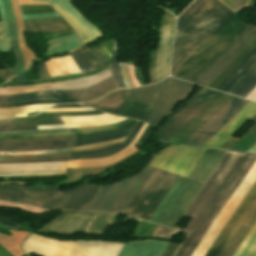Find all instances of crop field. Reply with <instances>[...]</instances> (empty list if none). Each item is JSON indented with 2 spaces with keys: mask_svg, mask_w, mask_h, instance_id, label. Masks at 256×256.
Wrapping results in <instances>:
<instances>
[{
  "mask_svg": "<svg viewBox=\"0 0 256 256\" xmlns=\"http://www.w3.org/2000/svg\"><path fill=\"white\" fill-rule=\"evenodd\" d=\"M14 15H15V20L17 24V33H18V43L21 49V53L25 62V69H27V66L35 59L36 54L33 53L26 45L25 39H24V34H23V26H22V19L17 7V2L16 0H10ZM38 60V58H37ZM36 60V61H37ZM34 63V62H33Z\"/></svg>",
  "mask_w": 256,
  "mask_h": 256,
  "instance_id": "29",
  "label": "crop field"
},
{
  "mask_svg": "<svg viewBox=\"0 0 256 256\" xmlns=\"http://www.w3.org/2000/svg\"><path fill=\"white\" fill-rule=\"evenodd\" d=\"M52 7L63 17L78 34L82 43L102 37L101 32L94 27L70 2V0H47Z\"/></svg>",
  "mask_w": 256,
  "mask_h": 256,
  "instance_id": "13",
  "label": "crop field"
},
{
  "mask_svg": "<svg viewBox=\"0 0 256 256\" xmlns=\"http://www.w3.org/2000/svg\"><path fill=\"white\" fill-rule=\"evenodd\" d=\"M175 232H179L170 228L158 226L152 237H163V238H170L171 235Z\"/></svg>",
  "mask_w": 256,
  "mask_h": 256,
  "instance_id": "50",
  "label": "crop field"
},
{
  "mask_svg": "<svg viewBox=\"0 0 256 256\" xmlns=\"http://www.w3.org/2000/svg\"><path fill=\"white\" fill-rule=\"evenodd\" d=\"M206 148H181L170 145L154 154L153 166L187 178Z\"/></svg>",
  "mask_w": 256,
  "mask_h": 256,
  "instance_id": "7",
  "label": "crop field"
},
{
  "mask_svg": "<svg viewBox=\"0 0 256 256\" xmlns=\"http://www.w3.org/2000/svg\"><path fill=\"white\" fill-rule=\"evenodd\" d=\"M136 121L137 120H134L126 125L119 126V127L101 129V130H95V131H88V132H82V133H53V134H37V135H21V136H2V137H0V140L20 139V138H38V137H47V136H68V135H78V134H88V133H96V132H103V131H111V130H117L119 128L129 126V125L135 123Z\"/></svg>",
  "mask_w": 256,
  "mask_h": 256,
  "instance_id": "42",
  "label": "crop field"
},
{
  "mask_svg": "<svg viewBox=\"0 0 256 256\" xmlns=\"http://www.w3.org/2000/svg\"><path fill=\"white\" fill-rule=\"evenodd\" d=\"M95 213L63 211L38 231L54 234L72 235L84 232Z\"/></svg>",
  "mask_w": 256,
  "mask_h": 256,
  "instance_id": "15",
  "label": "crop field"
},
{
  "mask_svg": "<svg viewBox=\"0 0 256 256\" xmlns=\"http://www.w3.org/2000/svg\"><path fill=\"white\" fill-rule=\"evenodd\" d=\"M82 50L85 52L87 57L91 60V62L96 66L97 69L103 67L101 63L96 59V57L91 53V51L85 46H81Z\"/></svg>",
  "mask_w": 256,
  "mask_h": 256,
  "instance_id": "52",
  "label": "crop field"
},
{
  "mask_svg": "<svg viewBox=\"0 0 256 256\" xmlns=\"http://www.w3.org/2000/svg\"><path fill=\"white\" fill-rule=\"evenodd\" d=\"M111 90L108 88L105 91L94 95L90 98H81V99H72V100H60V101H29V102H25V103H20V104H7V105H0V108L3 107H16V106H25V105H31V104H36V103H66V102H87V101H91V100H95L105 94H107L108 92H110Z\"/></svg>",
  "mask_w": 256,
  "mask_h": 256,
  "instance_id": "45",
  "label": "crop field"
},
{
  "mask_svg": "<svg viewBox=\"0 0 256 256\" xmlns=\"http://www.w3.org/2000/svg\"><path fill=\"white\" fill-rule=\"evenodd\" d=\"M118 215L119 214L96 213L84 233H94L102 235L106 226L115 223Z\"/></svg>",
  "mask_w": 256,
  "mask_h": 256,
  "instance_id": "35",
  "label": "crop field"
},
{
  "mask_svg": "<svg viewBox=\"0 0 256 256\" xmlns=\"http://www.w3.org/2000/svg\"><path fill=\"white\" fill-rule=\"evenodd\" d=\"M111 77L110 70L95 75L93 77L84 78L80 80H72V81H63L58 83H50V84H42V85H34V86H24V87H9V88H0L1 91H13V90H23L30 89L36 87H44V86H61L58 88H37L31 90L17 91V92H1L0 95H14L26 92L33 91H43V90H70V89H85L91 87L107 78Z\"/></svg>",
  "mask_w": 256,
  "mask_h": 256,
  "instance_id": "19",
  "label": "crop field"
},
{
  "mask_svg": "<svg viewBox=\"0 0 256 256\" xmlns=\"http://www.w3.org/2000/svg\"><path fill=\"white\" fill-rule=\"evenodd\" d=\"M109 69V66L99 69L93 72L85 73V74H78V75H69V76H63V77H55V78H48L44 80H37V81H31V82H20L15 84H4L2 87H9V86H24V85H33V84H41V83H50V82H58L63 80H71V79H80L88 76H92L94 74L103 72L105 70Z\"/></svg>",
  "mask_w": 256,
  "mask_h": 256,
  "instance_id": "39",
  "label": "crop field"
},
{
  "mask_svg": "<svg viewBox=\"0 0 256 256\" xmlns=\"http://www.w3.org/2000/svg\"><path fill=\"white\" fill-rule=\"evenodd\" d=\"M43 1H46V0H43Z\"/></svg>",
  "mask_w": 256,
  "mask_h": 256,
  "instance_id": "69",
  "label": "crop field"
},
{
  "mask_svg": "<svg viewBox=\"0 0 256 256\" xmlns=\"http://www.w3.org/2000/svg\"><path fill=\"white\" fill-rule=\"evenodd\" d=\"M132 121L131 119H127L124 121L116 122L113 124H109L101 127H93V128H70V129H54V130H36V131H21V132H0V135H17V134H36V133H52V132H76V131H88L94 129L108 128L123 125Z\"/></svg>",
  "mask_w": 256,
  "mask_h": 256,
  "instance_id": "37",
  "label": "crop field"
},
{
  "mask_svg": "<svg viewBox=\"0 0 256 256\" xmlns=\"http://www.w3.org/2000/svg\"><path fill=\"white\" fill-rule=\"evenodd\" d=\"M255 35L256 27L249 26L241 34V36L223 53V55L204 73V75L196 82V84L207 86Z\"/></svg>",
  "mask_w": 256,
  "mask_h": 256,
  "instance_id": "18",
  "label": "crop field"
},
{
  "mask_svg": "<svg viewBox=\"0 0 256 256\" xmlns=\"http://www.w3.org/2000/svg\"><path fill=\"white\" fill-rule=\"evenodd\" d=\"M256 203V182L211 245L205 256H219Z\"/></svg>",
  "mask_w": 256,
  "mask_h": 256,
  "instance_id": "12",
  "label": "crop field"
},
{
  "mask_svg": "<svg viewBox=\"0 0 256 256\" xmlns=\"http://www.w3.org/2000/svg\"><path fill=\"white\" fill-rule=\"evenodd\" d=\"M256 85V63L241 77L228 93L244 98Z\"/></svg>",
  "mask_w": 256,
  "mask_h": 256,
  "instance_id": "31",
  "label": "crop field"
},
{
  "mask_svg": "<svg viewBox=\"0 0 256 256\" xmlns=\"http://www.w3.org/2000/svg\"><path fill=\"white\" fill-rule=\"evenodd\" d=\"M131 130L119 132L107 136L95 137V138H85V139H75L68 142L69 148L106 142L110 140L119 139L125 137L129 134ZM68 148L66 141L58 142H42V143H32V144H10V145H0V151H14V150H45V149H59Z\"/></svg>",
  "mask_w": 256,
  "mask_h": 256,
  "instance_id": "17",
  "label": "crop field"
},
{
  "mask_svg": "<svg viewBox=\"0 0 256 256\" xmlns=\"http://www.w3.org/2000/svg\"><path fill=\"white\" fill-rule=\"evenodd\" d=\"M9 47L10 39L7 22L0 23V50L1 52L9 51Z\"/></svg>",
  "mask_w": 256,
  "mask_h": 256,
  "instance_id": "49",
  "label": "crop field"
},
{
  "mask_svg": "<svg viewBox=\"0 0 256 256\" xmlns=\"http://www.w3.org/2000/svg\"><path fill=\"white\" fill-rule=\"evenodd\" d=\"M209 0H195L177 19L175 35L194 17Z\"/></svg>",
  "mask_w": 256,
  "mask_h": 256,
  "instance_id": "38",
  "label": "crop field"
},
{
  "mask_svg": "<svg viewBox=\"0 0 256 256\" xmlns=\"http://www.w3.org/2000/svg\"><path fill=\"white\" fill-rule=\"evenodd\" d=\"M23 256H27V255L25 254V255H23Z\"/></svg>",
  "mask_w": 256,
  "mask_h": 256,
  "instance_id": "68",
  "label": "crop field"
},
{
  "mask_svg": "<svg viewBox=\"0 0 256 256\" xmlns=\"http://www.w3.org/2000/svg\"><path fill=\"white\" fill-rule=\"evenodd\" d=\"M101 113L103 112L94 111V112L41 113L35 117L0 120V124L60 120L58 116H87V115H97Z\"/></svg>",
  "mask_w": 256,
  "mask_h": 256,
  "instance_id": "30",
  "label": "crop field"
},
{
  "mask_svg": "<svg viewBox=\"0 0 256 256\" xmlns=\"http://www.w3.org/2000/svg\"><path fill=\"white\" fill-rule=\"evenodd\" d=\"M247 27L232 12L173 77L195 83Z\"/></svg>",
  "mask_w": 256,
  "mask_h": 256,
  "instance_id": "3",
  "label": "crop field"
},
{
  "mask_svg": "<svg viewBox=\"0 0 256 256\" xmlns=\"http://www.w3.org/2000/svg\"><path fill=\"white\" fill-rule=\"evenodd\" d=\"M69 54L73 58L81 72L96 70L95 66L86 57L80 47L73 51H69Z\"/></svg>",
  "mask_w": 256,
  "mask_h": 256,
  "instance_id": "43",
  "label": "crop field"
},
{
  "mask_svg": "<svg viewBox=\"0 0 256 256\" xmlns=\"http://www.w3.org/2000/svg\"><path fill=\"white\" fill-rule=\"evenodd\" d=\"M143 125V122H138L134 129L131 131L129 136L126 138V140L116 149L109 151L107 153L103 154H98V155H82V156H74L71 157V160H76V159H84V158H99V157H105L109 155H113L121 150H123L125 147H127L135 134L138 132L140 127ZM60 160H70V157H65V158H56V159H35V160H9V161H0V163H29V162H46V161H60Z\"/></svg>",
  "mask_w": 256,
  "mask_h": 256,
  "instance_id": "25",
  "label": "crop field"
},
{
  "mask_svg": "<svg viewBox=\"0 0 256 256\" xmlns=\"http://www.w3.org/2000/svg\"><path fill=\"white\" fill-rule=\"evenodd\" d=\"M39 76H40L41 79H42V78H48V77H50V75H49V73H48V71H47V69H46L44 63L40 64Z\"/></svg>",
  "mask_w": 256,
  "mask_h": 256,
  "instance_id": "59",
  "label": "crop field"
},
{
  "mask_svg": "<svg viewBox=\"0 0 256 256\" xmlns=\"http://www.w3.org/2000/svg\"><path fill=\"white\" fill-rule=\"evenodd\" d=\"M97 50L103 54V56L107 59L108 63L110 60L111 55L108 53V51L103 47L101 43L95 45Z\"/></svg>",
  "mask_w": 256,
  "mask_h": 256,
  "instance_id": "57",
  "label": "crop field"
},
{
  "mask_svg": "<svg viewBox=\"0 0 256 256\" xmlns=\"http://www.w3.org/2000/svg\"><path fill=\"white\" fill-rule=\"evenodd\" d=\"M248 4H249V0H235L233 10L235 12H238V11L244 9L245 7H247Z\"/></svg>",
  "mask_w": 256,
  "mask_h": 256,
  "instance_id": "55",
  "label": "crop field"
},
{
  "mask_svg": "<svg viewBox=\"0 0 256 256\" xmlns=\"http://www.w3.org/2000/svg\"><path fill=\"white\" fill-rule=\"evenodd\" d=\"M219 94V92L201 88L187 103L185 102L186 104L169 118L167 126L161 128L157 138L169 142Z\"/></svg>",
  "mask_w": 256,
  "mask_h": 256,
  "instance_id": "8",
  "label": "crop field"
},
{
  "mask_svg": "<svg viewBox=\"0 0 256 256\" xmlns=\"http://www.w3.org/2000/svg\"><path fill=\"white\" fill-rule=\"evenodd\" d=\"M0 21H1V19H0Z\"/></svg>",
  "mask_w": 256,
  "mask_h": 256,
  "instance_id": "70",
  "label": "crop field"
},
{
  "mask_svg": "<svg viewBox=\"0 0 256 256\" xmlns=\"http://www.w3.org/2000/svg\"><path fill=\"white\" fill-rule=\"evenodd\" d=\"M152 170L147 166L129 179L103 186L87 211L124 213Z\"/></svg>",
  "mask_w": 256,
  "mask_h": 256,
  "instance_id": "6",
  "label": "crop field"
},
{
  "mask_svg": "<svg viewBox=\"0 0 256 256\" xmlns=\"http://www.w3.org/2000/svg\"><path fill=\"white\" fill-rule=\"evenodd\" d=\"M233 96L221 93L212 101L196 118H194L178 135L170 142L182 144L196 130H198L207 120H209L218 110H220Z\"/></svg>",
  "mask_w": 256,
  "mask_h": 256,
  "instance_id": "20",
  "label": "crop field"
},
{
  "mask_svg": "<svg viewBox=\"0 0 256 256\" xmlns=\"http://www.w3.org/2000/svg\"><path fill=\"white\" fill-rule=\"evenodd\" d=\"M25 32L32 34L50 32L52 34L71 30L61 17L23 21Z\"/></svg>",
  "mask_w": 256,
  "mask_h": 256,
  "instance_id": "23",
  "label": "crop field"
},
{
  "mask_svg": "<svg viewBox=\"0 0 256 256\" xmlns=\"http://www.w3.org/2000/svg\"><path fill=\"white\" fill-rule=\"evenodd\" d=\"M256 161V155L249 154L245 162L242 164L234 178L231 180L223 194L220 196L210 213L207 215L199 229L196 231L188 245L185 247L180 256H190L194 251L202 237L205 235L211 224L214 222L222 208L225 206L231 195L234 193L242 179L245 177L253 163Z\"/></svg>",
  "mask_w": 256,
  "mask_h": 256,
  "instance_id": "10",
  "label": "crop field"
},
{
  "mask_svg": "<svg viewBox=\"0 0 256 256\" xmlns=\"http://www.w3.org/2000/svg\"><path fill=\"white\" fill-rule=\"evenodd\" d=\"M167 245L157 240L126 243L118 256H160Z\"/></svg>",
  "mask_w": 256,
  "mask_h": 256,
  "instance_id": "22",
  "label": "crop field"
},
{
  "mask_svg": "<svg viewBox=\"0 0 256 256\" xmlns=\"http://www.w3.org/2000/svg\"><path fill=\"white\" fill-rule=\"evenodd\" d=\"M225 153L224 150L207 148L188 179L205 184ZM176 178V175L154 168L125 214L148 221ZM188 179L178 176L150 222L175 228L203 187V184Z\"/></svg>",
  "mask_w": 256,
  "mask_h": 256,
  "instance_id": "1",
  "label": "crop field"
},
{
  "mask_svg": "<svg viewBox=\"0 0 256 256\" xmlns=\"http://www.w3.org/2000/svg\"><path fill=\"white\" fill-rule=\"evenodd\" d=\"M178 247L179 245L169 243V245L167 246V248L165 249V251L161 256H172L175 253V251L178 249Z\"/></svg>",
  "mask_w": 256,
  "mask_h": 256,
  "instance_id": "56",
  "label": "crop field"
},
{
  "mask_svg": "<svg viewBox=\"0 0 256 256\" xmlns=\"http://www.w3.org/2000/svg\"><path fill=\"white\" fill-rule=\"evenodd\" d=\"M245 99H249L252 101H256V86L253 88V90L245 97Z\"/></svg>",
  "mask_w": 256,
  "mask_h": 256,
  "instance_id": "63",
  "label": "crop field"
},
{
  "mask_svg": "<svg viewBox=\"0 0 256 256\" xmlns=\"http://www.w3.org/2000/svg\"><path fill=\"white\" fill-rule=\"evenodd\" d=\"M248 103L249 101L234 97L188 140H186L183 145L202 146Z\"/></svg>",
  "mask_w": 256,
  "mask_h": 256,
  "instance_id": "11",
  "label": "crop field"
},
{
  "mask_svg": "<svg viewBox=\"0 0 256 256\" xmlns=\"http://www.w3.org/2000/svg\"><path fill=\"white\" fill-rule=\"evenodd\" d=\"M255 180L256 162L191 256H204L210 245L213 243V241L222 230L228 219L231 217L237 206L240 204L246 193L249 191Z\"/></svg>",
  "mask_w": 256,
  "mask_h": 256,
  "instance_id": "9",
  "label": "crop field"
},
{
  "mask_svg": "<svg viewBox=\"0 0 256 256\" xmlns=\"http://www.w3.org/2000/svg\"><path fill=\"white\" fill-rule=\"evenodd\" d=\"M175 18L164 11L157 47L155 79L156 82L168 75L171 56Z\"/></svg>",
  "mask_w": 256,
  "mask_h": 256,
  "instance_id": "14",
  "label": "crop field"
},
{
  "mask_svg": "<svg viewBox=\"0 0 256 256\" xmlns=\"http://www.w3.org/2000/svg\"><path fill=\"white\" fill-rule=\"evenodd\" d=\"M255 113H256V103L250 102L245 108H243L233 119H231L221 130H219L203 146L218 148L234 132H236L246 121H248Z\"/></svg>",
  "mask_w": 256,
  "mask_h": 256,
  "instance_id": "21",
  "label": "crop field"
},
{
  "mask_svg": "<svg viewBox=\"0 0 256 256\" xmlns=\"http://www.w3.org/2000/svg\"><path fill=\"white\" fill-rule=\"evenodd\" d=\"M128 91L130 90H115L95 102L86 103L84 105H88L118 115L122 107L128 101L127 99H123L121 97Z\"/></svg>",
  "mask_w": 256,
  "mask_h": 256,
  "instance_id": "24",
  "label": "crop field"
},
{
  "mask_svg": "<svg viewBox=\"0 0 256 256\" xmlns=\"http://www.w3.org/2000/svg\"><path fill=\"white\" fill-rule=\"evenodd\" d=\"M256 46V36L249 44L224 68V70L208 85L215 89L223 79L241 62V60Z\"/></svg>",
  "mask_w": 256,
  "mask_h": 256,
  "instance_id": "32",
  "label": "crop field"
},
{
  "mask_svg": "<svg viewBox=\"0 0 256 256\" xmlns=\"http://www.w3.org/2000/svg\"><path fill=\"white\" fill-rule=\"evenodd\" d=\"M256 254V224L242 242L234 256H254Z\"/></svg>",
  "mask_w": 256,
  "mask_h": 256,
  "instance_id": "41",
  "label": "crop field"
},
{
  "mask_svg": "<svg viewBox=\"0 0 256 256\" xmlns=\"http://www.w3.org/2000/svg\"><path fill=\"white\" fill-rule=\"evenodd\" d=\"M4 187L16 188V189H27L34 191H49V190H60L61 188L54 189H30L19 185H7ZM100 187L94 185H82L70 192L65 191H49V192H34L23 190L18 202L44 207L48 209H78L86 210ZM1 192H7L14 194L7 195L0 193V199L6 201L16 202L21 191L14 189L0 188Z\"/></svg>",
  "mask_w": 256,
  "mask_h": 256,
  "instance_id": "4",
  "label": "crop field"
},
{
  "mask_svg": "<svg viewBox=\"0 0 256 256\" xmlns=\"http://www.w3.org/2000/svg\"><path fill=\"white\" fill-rule=\"evenodd\" d=\"M0 256H9L7 253H5L1 248H0Z\"/></svg>",
  "mask_w": 256,
  "mask_h": 256,
  "instance_id": "67",
  "label": "crop field"
},
{
  "mask_svg": "<svg viewBox=\"0 0 256 256\" xmlns=\"http://www.w3.org/2000/svg\"><path fill=\"white\" fill-rule=\"evenodd\" d=\"M125 139V138H124ZM124 139L115 140L111 142L76 147L72 149H60V150H45V151H14V152H0V155H39V154H52V153H63V152H71V151H79V150H87V149H97L107 145L115 144L118 142H123Z\"/></svg>",
  "mask_w": 256,
  "mask_h": 256,
  "instance_id": "33",
  "label": "crop field"
},
{
  "mask_svg": "<svg viewBox=\"0 0 256 256\" xmlns=\"http://www.w3.org/2000/svg\"><path fill=\"white\" fill-rule=\"evenodd\" d=\"M156 126L150 125L148 124V126L146 127L145 131L143 132V134L141 135L140 139L138 140V142L136 143V145L139 146H143L144 143L146 142V140L149 138V136L151 135L152 129L155 128Z\"/></svg>",
  "mask_w": 256,
  "mask_h": 256,
  "instance_id": "51",
  "label": "crop field"
},
{
  "mask_svg": "<svg viewBox=\"0 0 256 256\" xmlns=\"http://www.w3.org/2000/svg\"><path fill=\"white\" fill-rule=\"evenodd\" d=\"M19 8L21 14L55 12L51 6L44 5H21Z\"/></svg>",
  "mask_w": 256,
  "mask_h": 256,
  "instance_id": "47",
  "label": "crop field"
},
{
  "mask_svg": "<svg viewBox=\"0 0 256 256\" xmlns=\"http://www.w3.org/2000/svg\"><path fill=\"white\" fill-rule=\"evenodd\" d=\"M139 152L141 151H136L134 153H132L131 155L125 157L124 159L120 160L119 162L115 163V164H112V165H109V166H105V167H100V168H90V170L87 172V174L83 177H87V176H91V175H97V174H101L105 171H108L124 162H126L127 160H129L130 158H132L133 156H135L136 154H138ZM82 179V178H81Z\"/></svg>",
  "mask_w": 256,
  "mask_h": 256,
  "instance_id": "48",
  "label": "crop field"
},
{
  "mask_svg": "<svg viewBox=\"0 0 256 256\" xmlns=\"http://www.w3.org/2000/svg\"><path fill=\"white\" fill-rule=\"evenodd\" d=\"M0 15H1L2 21L6 20L5 9H4V5H3L2 0H0Z\"/></svg>",
  "mask_w": 256,
  "mask_h": 256,
  "instance_id": "64",
  "label": "crop field"
},
{
  "mask_svg": "<svg viewBox=\"0 0 256 256\" xmlns=\"http://www.w3.org/2000/svg\"><path fill=\"white\" fill-rule=\"evenodd\" d=\"M73 33H74L73 31H70V32H65V33H61V34L51 35V36L45 37L43 39H50V38H54V37H58V36H62V35L73 34Z\"/></svg>",
  "mask_w": 256,
  "mask_h": 256,
  "instance_id": "66",
  "label": "crop field"
},
{
  "mask_svg": "<svg viewBox=\"0 0 256 256\" xmlns=\"http://www.w3.org/2000/svg\"><path fill=\"white\" fill-rule=\"evenodd\" d=\"M0 223H3V224H6V225H9V226H12V227H15V228H18L20 229V225L11 221V220H8V219H5V218H1L0 217Z\"/></svg>",
  "mask_w": 256,
  "mask_h": 256,
  "instance_id": "61",
  "label": "crop field"
},
{
  "mask_svg": "<svg viewBox=\"0 0 256 256\" xmlns=\"http://www.w3.org/2000/svg\"><path fill=\"white\" fill-rule=\"evenodd\" d=\"M193 87V84L168 77L157 84L135 88L124 97L154 105L147 123L159 126L174 107L189 96Z\"/></svg>",
  "mask_w": 256,
  "mask_h": 256,
  "instance_id": "5",
  "label": "crop field"
},
{
  "mask_svg": "<svg viewBox=\"0 0 256 256\" xmlns=\"http://www.w3.org/2000/svg\"><path fill=\"white\" fill-rule=\"evenodd\" d=\"M134 125H132L130 127H127V128L119 129L117 131H112V132H104V133H96V134H88V135H79V136H68V137H47V138H38V139L8 140V141H0V144L32 143V142H42V141L70 140V139L82 138V137L100 136V135H106V134H110V133H115V132L131 129V128L134 127Z\"/></svg>",
  "mask_w": 256,
  "mask_h": 256,
  "instance_id": "36",
  "label": "crop field"
},
{
  "mask_svg": "<svg viewBox=\"0 0 256 256\" xmlns=\"http://www.w3.org/2000/svg\"><path fill=\"white\" fill-rule=\"evenodd\" d=\"M70 107H84L80 104H72V105H62V106H54L52 108H70Z\"/></svg>",
  "mask_w": 256,
  "mask_h": 256,
  "instance_id": "65",
  "label": "crop field"
},
{
  "mask_svg": "<svg viewBox=\"0 0 256 256\" xmlns=\"http://www.w3.org/2000/svg\"><path fill=\"white\" fill-rule=\"evenodd\" d=\"M4 3H5L6 14H7V18H8L12 50H13V53L15 54V59H16V64H15L14 72H13V76H14V75L24 71V67H23L21 53H20V50H19L18 44H17V34H16V26H15L13 11H12L9 0H4Z\"/></svg>",
  "mask_w": 256,
  "mask_h": 256,
  "instance_id": "27",
  "label": "crop field"
},
{
  "mask_svg": "<svg viewBox=\"0 0 256 256\" xmlns=\"http://www.w3.org/2000/svg\"><path fill=\"white\" fill-rule=\"evenodd\" d=\"M79 45H81V43H80L78 38L63 41V42H59V43H56V44H53V45L49 46L47 51H51V50H55V49H61V50L50 52V53H45V55L55 53V52L70 50V49H73V48H75Z\"/></svg>",
  "mask_w": 256,
  "mask_h": 256,
  "instance_id": "46",
  "label": "crop field"
},
{
  "mask_svg": "<svg viewBox=\"0 0 256 256\" xmlns=\"http://www.w3.org/2000/svg\"><path fill=\"white\" fill-rule=\"evenodd\" d=\"M11 77V69L0 71V80H8Z\"/></svg>",
  "mask_w": 256,
  "mask_h": 256,
  "instance_id": "60",
  "label": "crop field"
},
{
  "mask_svg": "<svg viewBox=\"0 0 256 256\" xmlns=\"http://www.w3.org/2000/svg\"><path fill=\"white\" fill-rule=\"evenodd\" d=\"M255 62L256 47L243 59V61L224 79V81L216 89L227 92Z\"/></svg>",
  "mask_w": 256,
  "mask_h": 256,
  "instance_id": "26",
  "label": "crop field"
},
{
  "mask_svg": "<svg viewBox=\"0 0 256 256\" xmlns=\"http://www.w3.org/2000/svg\"><path fill=\"white\" fill-rule=\"evenodd\" d=\"M247 156L248 154L246 153L227 151L196 199L185 213L186 216H190L192 219L185 226L183 231L190 234L175 256L180 255Z\"/></svg>",
  "mask_w": 256,
  "mask_h": 256,
  "instance_id": "2",
  "label": "crop field"
},
{
  "mask_svg": "<svg viewBox=\"0 0 256 256\" xmlns=\"http://www.w3.org/2000/svg\"><path fill=\"white\" fill-rule=\"evenodd\" d=\"M121 144V143H120ZM120 144L107 146L97 150H88L64 154H52V155H39V156H5V159H34V158H55V157H64V156H73V155H82V154H97L107 152L119 146Z\"/></svg>",
  "mask_w": 256,
  "mask_h": 256,
  "instance_id": "40",
  "label": "crop field"
},
{
  "mask_svg": "<svg viewBox=\"0 0 256 256\" xmlns=\"http://www.w3.org/2000/svg\"><path fill=\"white\" fill-rule=\"evenodd\" d=\"M153 106L141 104L130 100L124 108L121 110L119 115L136 118L142 121H146Z\"/></svg>",
  "mask_w": 256,
  "mask_h": 256,
  "instance_id": "34",
  "label": "crop field"
},
{
  "mask_svg": "<svg viewBox=\"0 0 256 256\" xmlns=\"http://www.w3.org/2000/svg\"><path fill=\"white\" fill-rule=\"evenodd\" d=\"M114 84L112 77L85 90L80 91H43L37 93L21 94L15 96H0V103H20L29 100H39V99H50V100H60V99H72L89 97L96 94L109 86Z\"/></svg>",
  "mask_w": 256,
  "mask_h": 256,
  "instance_id": "16",
  "label": "crop field"
},
{
  "mask_svg": "<svg viewBox=\"0 0 256 256\" xmlns=\"http://www.w3.org/2000/svg\"><path fill=\"white\" fill-rule=\"evenodd\" d=\"M120 65H121V69H122V73H123V81H124L126 87L133 86V84L130 81L129 76H128L127 62L120 63Z\"/></svg>",
  "mask_w": 256,
  "mask_h": 256,
  "instance_id": "53",
  "label": "crop field"
},
{
  "mask_svg": "<svg viewBox=\"0 0 256 256\" xmlns=\"http://www.w3.org/2000/svg\"><path fill=\"white\" fill-rule=\"evenodd\" d=\"M255 222H256V206L253 208V210L245 220V223H249L252 225H254ZM245 223H243V225L240 227L236 235L233 237V239L228 244L224 252L221 254V256H232L235 253V251L237 250V248L239 247V245L241 244L245 236L248 234V232L252 228V225H248Z\"/></svg>",
  "mask_w": 256,
  "mask_h": 256,
  "instance_id": "28",
  "label": "crop field"
},
{
  "mask_svg": "<svg viewBox=\"0 0 256 256\" xmlns=\"http://www.w3.org/2000/svg\"><path fill=\"white\" fill-rule=\"evenodd\" d=\"M73 37H77L76 34L65 36V37H61V38H57V39H53V40H49L47 44L56 43V42L62 41L64 39L73 38Z\"/></svg>",
  "mask_w": 256,
  "mask_h": 256,
  "instance_id": "62",
  "label": "crop field"
},
{
  "mask_svg": "<svg viewBox=\"0 0 256 256\" xmlns=\"http://www.w3.org/2000/svg\"><path fill=\"white\" fill-rule=\"evenodd\" d=\"M92 53L98 58V60L102 63L103 66L108 65L107 61L104 59V57L94 48H90Z\"/></svg>",
  "mask_w": 256,
  "mask_h": 256,
  "instance_id": "58",
  "label": "crop field"
},
{
  "mask_svg": "<svg viewBox=\"0 0 256 256\" xmlns=\"http://www.w3.org/2000/svg\"><path fill=\"white\" fill-rule=\"evenodd\" d=\"M64 124L62 121L56 122H37V123H23V124H5L0 125V131H21L37 129L36 125H59Z\"/></svg>",
  "mask_w": 256,
  "mask_h": 256,
  "instance_id": "44",
  "label": "crop field"
},
{
  "mask_svg": "<svg viewBox=\"0 0 256 256\" xmlns=\"http://www.w3.org/2000/svg\"><path fill=\"white\" fill-rule=\"evenodd\" d=\"M23 20L43 18V17H55L59 16L57 13H48V14H30V15H21Z\"/></svg>",
  "mask_w": 256,
  "mask_h": 256,
  "instance_id": "54",
  "label": "crop field"
}]
</instances>
